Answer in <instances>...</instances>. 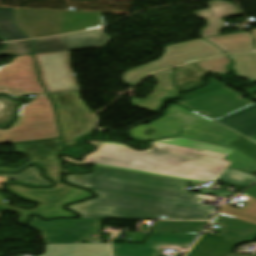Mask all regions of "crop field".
Masks as SVG:
<instances>
[{"label":"crop field","mask_w":256,"mask_h":256,"mask_svg":"<svg viewBox=\"0 0 256 256\" xmlns=\"http://www.w3.org/2000/svg\"><path fill=\"white\" fill-rule=\"evenodd\" d=\"M232 151L181 137L165 139L135 172L200 184L216 182L231 164L222 159Z\"/></svg>","instance_id":"obj_1"},{"label":"crop field","mask_w":256,"mask_h":256,"mask_svg":"<svg viewBox=\"0 0 256 256\" xmlns=\"http://www.w3.org/2000/svg\"><path fill=\"white\" fill-rule=\"evenodd\" d=\"M89 175H69L66 180L81 187L146 197L170 202L198 205L199 208L211 210L216 207L202 205L204 198L196 193L186 192L188 182L93 167Z\"/></svg>","instance_id":"obj_2"},{"label":"crop field","mask_w":256,"mask_h":256,"mask_svg":"<svg viewBox=\"0 0 256 256\" xmlns=\"http://www.w3.org/2000/svg\"><path fill=\"white\" fill-rule=\"evenodd\" d=\"M155 129L151 136L143 132ZM133 138L142 140H155L182 136L235 150L224 160L233 162L230 168L252 175L256 171V162L244 156L238 149L228 146L238 135L178 106L172 104L165 117L148 125H141L130 131ZM248 161V162H246Z\"/></svg>","instance_id":"obj_3"},{"label":"crop field","mask_w":256,"mask_h":256,"mask_svg":"<svg viewBox=\"0 0 256 256\" xmlns=\"http://www.w3.org/2000/svg\"><path fill=\"white\" fill-rule=\"evenodd\" d=\"M97 199L71 205L85 219H137L154 220L168 216L176 203H169L121 194L95 191ZM167 219V218H166Z\"/></svg>","instance_id":"obj_4"},{"label":"crop field","mask_w":256,"mask_h":256,"mask_svg":"<svg viewBox=\"0 0 256 256\" xmlns=\"http://www.w3.org/2000/svg\"><path fill=\"white\" fill-rule=\"evenodd\" d=\"M18 25L31 37L89 30L104 25L101 14L15 9Z\"/></svg>","instance_id":"obj_5"},{"label":"crop field","mask_w":256,"mask_h":256,"mask_svg":"<svg viewBox=\"0 0 256 256\" xmlns=\"http://www.w3.org/2000/svg\"><path fill=\"white\" fill-rule=\"evenodd\" d=\"M7 188L24 198L33 199L40 204L30 210H24L9 206L3 203L4 198L0 194V209L15 210L20 212L19 222H24L31 213H38L43 218H54L57 216H72L73 213L66 212L61 207L68 202L83 199L90 196V193L77 188L56 183L52 188H26L21 185H9Z\"/></svg>","instance_id":"obj_6"},{"label":"crop field","mask_w":256,"mask_h":256,"mask_svg":"<svg viewBox=\"0 0 256 256\" xmlns=\"http://www.w3.org/2000/svg\"><path fill=\"white\" fill-rule=\"evenodd\" d=\"M58 109L59 123L65 146L92 131L96 119L93 112L79 98V92L50 94Z\"/></svg>","instance_id":"obj_7"},{"label":"crop field","mask_w":256,"mask_h":256,"mask_svg":"<svg viewBox=\"0 0 256 256\" xmlns=\"http://www.w3.org/2000/svg\"><path fill=\"white\" fill-rule=\"evenodd\" d=\"M29 225L40 231L45 243H90L99 242L101 221L61 219L43 222L34 216Z\"/></svg>","instance_id":"obj_8"},{"label":"crop field","mask_w":256,"mask_h":256,"mask_svg":"<svg viewBox=\"0 0 256 256\" xmlns=\"http://www.w3.org/2000/svg\"><path fill=\"white\" fill-rule=\"evenodd\" d=\"M159 141L152 142L147 151H134L116 142H90L98 149L86 155L82 161L77 162L66 157L64 159L75 163L134 172Z\"/></svg>","instance_id":"obj_9"},{"label":"crop field","mask_w":256,"mask_h":256,"mask_svg":"<svg viewBox=\"0 0 256 256\" xmlns=\"http://www.w3.org/2000/svg\"><path fill=\"white\" fill-rule=\"evenodd\" d=\"M241 97L243 95L227 87L217 91L203 93L191 100L178 104L195 113H204L202 116L216 121L254 104L250 100Z\"/></svg>","instance_id":"obj_10"},{"label":"crop field","mask_w":256,"mask_h":256,"mask_svg":"<svg viewBox=\"0 0 256 256\" xmlns=\"http://www.w3.org/2000/svg\"><path fill=\"white\" fill-rule=\"evenodd\" d=\"M47 92L79 89L70 68V51L34 55Z\"/></svg>","instance_id":"obj_11"},{"label":"crop field","mask_w":256,"mask_h":256,"mask_svg":"<svg viewBox=\"0 0 256 256\" xmlns=\"http://www.w3.org/2000/svg\"><path fill=\"white\" fill-rule=\"evenodd\" d=\"M15 150L29 154L30 158L22 167H0L2 172H15L27 164L36 163L45 169L46 176L59 182L60 161L54 155L62 148L60 139L42 140L34 142L16 143Z\"/></svg>","instance_id":"obj_12"},{"label":"crop field","mask_w":256,"mask_h":256,"mask_svg":"<svg viewBox=\"0 0 256 256\" xmlns=\"http://www.w3.org/2000/svg\"><path fill=\"white\" fill-rule=\"evenodd\" d=\"M199 235L150 233L144 245L112 243L114 256H157L161 246L190 247Z\"/></svg>","instance_id":"obj_13"},{"label":"crop field","mask_w":256,"mask_h":256,"mask_svg":"<svg viewBox=\"0 0 256 256\" xmlns=\"http://www.w3.org/2000/svg\"><path fill=\"white\" fill-rule=\"evenodd\" d=\"M109 41V37L99 30L49 39L34 40L35 45L33 54L101 48Z\"/></svg>","instance_id":"obj_14"},{"label":"crop field","mask_w":256,"mask_h":256,"mask_svg":"<svg viewBox=\"0 0 256 256\" xmlns=\"http://www.w3.org/2000/svg\"><path fill=\"white\" fill-rule=\"evenodd\" d=\"M208 4L211 7L210 9L195 12L198 18L203 19L208 23L207 27L201 30L202 33L200 35L202 37L219 35L225 28L221 18L242 15L239 8L231 2L214 0L208 2Z\"/></svg>","instance_id":"obj_15"},{"label":"crop field","mask_w":256,"mask_h":256,"mask_svg":"<svg viewBox=\"0 0 256 256\" xmlns=\"http://www.w3.org/2000/svg\"><path fill=\"white\" fill-rule=\"evenodd\" d=\"M173 70H166L153 74L159 83L155 87V91L144 100L132 98L133 105L140 108L156 112L159 105L165 98H177L181 91L176 89L172 84Z\"/></svg>","instance_id":"obj_16"},{"label":"crop field","mask_w":256,"mask_h":256,"mask_svg":"<svg viewBox=\"0 0 256 256\" xmlns=\"http://www.w3.org/2000/svg\"><path fill=\"white\" fill-rule=\"evenodd\" d=\"M212 223L221 226V231L216 236L236 244L239 242H249L252 236L256 234V225L220 214L215 216Z\"/></svg>","instance_id":"obj_17"},{"label":"crop field","mask_w":256,"mask_h":256,"mask_svg":"<svg viewBox=\"0 0 256 256\" xmlns=\"http://www.w3.org/2000/svg\"><path fill=\"white\" fill-rule=\"evenodd\" d=\"M42 256H110L109 244H47Z\"/></svg>","instance_id":"obj_18"},{"label":"crop field","mask_w":256,"mask_h":256,"mask_svg":"<svg viewBox=\"0 0 256 256\" xmlns=\"http://www.w3.org/2000/svg\"><path fill=\"white\" fill-rule=\"evenodd\" d=\"M217 123L250 138L256 135V104L222 118Z\"/></svg>","instance_id":"obj_19"},{"label":"crop field","mask_w":256,"mask_h":256,"mask_svg":"<svg viewBox=\"0 0 256 256\" xmlns=\"http://www.w3.org/2000/svg\"><path fill=\"white\" fill-rule=\"evenodd\" d=\"M236 245L203 235L186 256H227Z\"/></svg>","instance_id":"obj_20"},{"label":"crop field","mask_w":256,"mask_h":256,"mask_svg":"<svg viewBox=\"0 0 256 256\" xmlns=\"http://www.w3.org/2000/svg\"><path fill=\"white\" fill-rule=\"evenodd\" d=\"M205 40L219 46L227 53L254 50L252 38L248 33L207 37Z\"/></svg>","instance_id":"obj_21"},{"label":"crop field","mask_w":256,"mask_h":256,"mask_svg":"<svg viewBox=\"0 0 256 256\" xmlns=\"http://www.w3.org/2000/svg\"><path fill=\"white\" fill-rule=\"evenodd\" d=\"M175 70V84L183 91L194 89L200 86L203 84L201 76L209 74L196 63L175 68Z\"/></svg>","instance_id":"obj_22"},{"label":"crop field","mask_w":256,"mask_h":256,"mask_svg":"<svg viewBox=\"0 0 256 256\" xmlns=\"http://www.w3.org/2000/svg\"><path fill=\"white\" fill-rule=\"evenodd\" d=\"M208 222L157 221L152 232L200 234Z\"/></svg>","instance_id":"obj_23"},{"label":"crop field","mask_w":256,"mask_h":256,"mask_svg":"<svg viewBox=\"0 0 256 256\" xmlns=\"http://www.w3.org/2000/svg\"><path fill=\"white\" fill-rule=\"evenodd\" d=\"M0 38L2 41L29 39L16 26L12 9L0 8Z\"/></svg>","instance_id":"obj_24"},{"label":"crop field","mask_w":256,"mask_h":256,"mask_svg":"<svg viewBox=\"0 0 256 256\" xmlns=\"http://www.w3.org/2000/svg\"><path fill=\"white\" fill-rule=\"evenodd\" d=\"M237 76L254 81L256 80V53L230 55Z\"/></svg>","instance_id":"obj_25"},{"label":"crop field","mask_w":256,"mask_h":256,"mask_svg":"<svg viewBox=\"0 0 256 256\" xmlns=\"http://www.w3.org/2000/svg\"><path fill=\"white\" fill-rule=\"evenodd\" d=\"M218 213L256 224V199L247 198V203L240 209L222 205Z\"/></svg>","instance_id":"obj_26"},{"label":"crop field","mask_w":256,"mask_h":256,"mask_svg":"<svg viewBox=\"0 0 256 256\" xmlns=\"http://www.w3.org/2000/svg\"><path fill=\"white\" fill-rule=\"evenodd\" d=\"M213 211L196 208L194 205L180 204L174 207L168 219H199L209 220L213 216Z\"/></svg>","instance_id":"obj_27"},{"label":"crop field","mask_w":256,"mask_h":256,"mask_svg":"<svg viewBox=\"0 0 256 256\" xmlns=\"http://www.w3.org/2000/svg\"><path fill=\"white\" fill-rule=\"evenodd\" d=\"M219 181L247 187L254 181L256 177L250 176L248 174L227 168L225 172L218 179Z\"/></svg>","instance_id":"obj_28"},{"label":"crop field","mask_w":256,"mask_h":256,"mask_svg":"<svg viewBox=\"0 0 256 256\" xmlns=\"http://www.w3.org/2000/svg\"><path fill=\"white\" fill-rule=\"evenodd\" d=\"M20 102L0 96V126H6L12 121L16 105Z\"/></svg>","instance_id":"obj_29"},{"label":"crop field","mask_w":256,"mask_h":256,"mask_svg":"<svg viewBox=\"0 0 256 256\" xmlns=\"http://www.w3.org/2000/svg\"><path fill=\"white\" fill-rule=\"evenodd\" d=\"M32 41L7 43L0 50V55L2 54H12L14 56L22 54H31Z\"/></svg>","instance_id":"obj_30"},{"label":"crop field","mask_w":256,"mask_h":256,"mask_svg":"<svg viewBox=\"0 0 256 256\" xmlns=\"http://www.w3.org/2000/svg\"><path fill=\"white\" fill-rule=\"evenodd\" d=\"M0 177L14 178L25 181H30L39 184L50 185L48 181L40 177V171L36 167H29L24 172L18 175H0Z\"/></svg>","instance_id":"obj_31"},{"label":"crop field","mask_w":256,"mask_h":256,"mask_svg":"<svg viewBox=\"0 0 256 256\" xmlns=\"http://www.w3.org/2000/svg\"><path fill=\"white\" fill-rule=\"evenodd\" d=\"M229 145L238 148L243 154L256 161V144L240 137L235 139Z\"/></svg>","instance_id":"obj_32"},{"label":"crop field","mask_w":256,"mask_h":256,"mask_svg":"<svg viewBox=\"0 0 256 256\" xmlns=\"http://www.w3.org/2000/svg\"><path fill=\"white\" fill-rule=\"evenodd\" d=\"M224 87H226V86L223 83H221L217 79L212 78V79L209 80V83L205 88H202V89L197 90V91L189 92L184 96V98L182 100L172 101V102L178 103V102H181V101H185V100L191 99V98H193V97H195V96H197V95H199L203 92L217 90V89L224 88Z\"/></svg>","instance_id":"obj_33"},{"label":"crop field","mask_w":256,"mask_h":256,"mask_svg":"<svg viewBox=\"0 0 256 256\" xmlns=\"http://www.w3.org/2000/svg\"><path fill=\"white\" fill-rule=\"evenodd\" d=\"M200 193L209 194V195H218V196H222V197H226V198H229L230 196L235 194V193H231V192L224 191V190H222L221 192L214 193V192H212L210 190H206V189H202L200 191Z\"/></svg>","instance_id":"obj_34"},{"label":"crop field","mask_w":256,"mask_h":256,"mask_svg":"<svg viewBox=\"0 0 256 256\" xmlns=\"http://www.w3.org/2000/svg\"><path fill=\"white\" fill-rule=\"evenodd\" d=\"M242 194L256 197V184L254 186H252L251 188H249L248 190H246L245 192H243Z\"/></svg>","instance_id":"obj_35"},{"label":"crop field","mask_w":256,"mask_h":256,"mask_svg":"<svg viewBox=\"0 0 256 256\" xmlns=\"http://www.w3.org/2000/svg\"><path fill=\"white\" fill-rule=\"evenodd\" d=\"M3 179L5 180V181H3ZM8 179L7 178H0V183H4V182H6ZM12 180H14V179H12ZM17 181H20V180H17Z\"/></svg>","instance_id":"obj_36"},{"label":"crop field","mask_w":256,"mask_h":256,"mask_svg":"<svg viewBox=\"0 0 256 256\" xmlns=\"http://www.w3.org/2000/svg\"><path fill=\"white\" fill-rule=\"evenodd\" d=\"M228 256H250V255H236V254H229Z\"/></svg>","instance_id":"obj_37"},{"label":"crop field","mask_w":256,"mask_h":256,"mask_svg":"<svg viewBox=\"0 0 256 256\" xmlns=\"http://www.w3.org/2000/svg\"><path fill=\"white\" fill-rule=\"evenodd\" d=\"M250 139L256 142V136H255V137H252V138H250Z\"/></svg>","instance_id":"obj_38"},{"label":"crop field","mask_w":256,"mask_h":256,"mask_svg":"<svg viewBox=\"0 0 256 256\" xmlns=\"http://www.w3.org/2000/svg\"><path fill=\"white\" fill-rule=\"evenodd\" d=\"M256 239V235H254V237L251 239V241H254Z\"/></svg>","instance_id":"obj_39"},{"label":"crop field","mask_w":256,"mask_h":256,"mask_svg":"<svg viewBox=\"0 0 256 256\" xmlns=\"http://www.w3.org/2000/svg\"><path fill=\"white\" fill-rule=\"evenodd\" d=\"M0 164H4L3 162H0Z\"/></svg>","instance_id":"obj_40"},{"label":"crop field","mask_w":256,"mask_h":256,"mask_svg":"<svg viewBox=\"0 0 256 256\" xmlns=\"http://www.w3.org/2000/svg\"><path fill=\"white\" fill-rule=\"evenodd\" d=\"M2 187V185H0V188Z\"/></svg>","instance_id":"obj_41"},{"label":"crop field","mask_w":256,"mask_h":256,"mask_svg":"<svg viewBox=\"0 0 256 256\" xmlns=\"http://www.w3.org/2000/svg\"><path fill=\"white\" fill-rule=\"evenodd\" d=\"M2 213H0V216H1Z\"/></svg>","instance_id":"obj_42"}]
</instances>
